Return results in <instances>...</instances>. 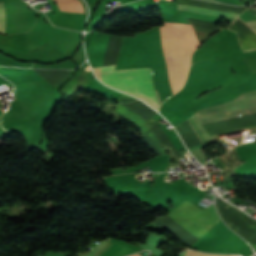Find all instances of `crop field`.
I'll list each match as a JSON object with an SVG mask.
<instances>
[{
	"label": "crop field",
	"instance_id": "obj_9",
	"mask_svg": "<svg viewBox=\"0 0 256 256\" xmlns=\"http://www.w3.org/2000/svg\"><path fill=\"white\" fill-rule=\"evenodd\" d=\"M106 243L107 241L103 240L87 256H94Z\"/></svg>",
	"mask_w": 256,
	"mask_h": 256
},
{
	"label": "crop field",
	"instance_id": "obj_11",
	"mask_svg": "<svg viewBox=\"0 0 256 256\" xmlns=\"http://www.w3.org/2000/svg\"><path fill=\"white\" fill-rule=\"evenodd\" d=\"M241 201H242V200L235 198V201H234V202H240V203H241Z\"/></svg>",
	"mask_w": 256,
	"mask_h": 256
},
{
	"label": "crop field",
	"instance_id": "obj_2",
	"mask_svg": "<svg viewBox=\"0 0 256 256\" xmlns=\"http://www.w3.org/2000/svg\"><path fill=\"white\" fill-rule=\"evenodd\" d=\"M116 65L93 68L99 80L108 86L132 94L158 110L150 68L114 71Z\"/></svg>",
	"mask_w": 256,
	"mask_h": 256
},
{
	"label": "crop field",
	"instance_id": "obj_3",
	"mask_svg": "<svg viewBox=\"0 0 256 256\" xmlns=\"http://www.w3.org/2000/svg\"><path fill=\"white\" fill-rule=\"evenodd\" d=\"M167 216L200 238L221 220L213 204L203 210L186 200Z\"/></svg>",
	"mask_w": 256,
	"mask_h": 256
},
{
	"label": "crop field",
	"instance_id": "obj_1",
	"mask_svg": "<svg viewBox=\"0 0 256 256\" xmlns=\"http://www.w3.org/2000/svg\"><path fill=\"white\" fill-rule=\"evenodd\" d=\"M160 32L169 82L175 93L184 82L192 52L200 44L190 24L164 22Z\"/></svg>",
	"mask_w": 256,
	"mask_h": 256
},
{
	"label": "crop field",
	"instance_id": "obj_10",
	"mask_svg": "<svg viewBox=\"0 0 256 256\" xmlns=\"http://www.w3.org/2000/svg\"><path fill=\"white\" fill-rule=\"evenodd\" d=\"M248 25H250L255 31H256V21L252 22H246Z\"/></svg>",
	"mask_w": 256,
	"mask_h": 256
},
{
	"label": "crop field",
	"instance_id": "obj_13",
	"mask_svg": "<svg viewBox=\"0 0 256 256\" xmlns=\"http://www.w3.org/2000/svg\"><path fill=\"white\" fill-rule=\"evenodd\" d=\"M201 139V138H200ZM203 142V141H202ZM204 144V143H203Z\"/></svg>",
	"mask_w": 256,
	"mask_h": 256
},
{
	"label": "crop field",
	"instance_id": "obj_5",
	"mask_svg": "<svg viewBox=\"0 0 256 256\" xmlns=\"http://www.w3.org/2000/svg\"><path fill=\"white\" fill-rule=\"evenodd\" d=\"M178 9L186 10V11H192V12H198V13H204V14H210V15H216V16L233 17V18H236V16L238 15L237 13H230V12H224V11L196 8V7L183 6V5H178Z\"/></svg>",
	"mask_w": 256,
	"mask_h": 256
},
{
	"label": "crop field",
	"instance_id": "obj_8",
	"mask_svg": "<svg viewBox=\"0 0 256 256\" xmlns=\"http://www.w3.org/2000/svg\"><path fill=\"white\" fill-rule=\"evenodd\" d=\"M184 256H228V255L204 254L201 252H195V251L188 250V252Z\"/></svg>",
	"mask_w": 256,
	"mask_h": 256
},
{
	"label": "crop field",
	"instance_id": "obj_7",
	"mask_svg": "<svg viewBox=\"0 0 256 256\" xmlns=\"http://www.w3.org/2000/svg\"><path fill=\"white\" fill-rule=\"evenodd\" d=\"M4 26H5V15L4 9L2 5V1L0 3V32L4 33Z\"/></svg>",
	"mask_w": 256,
	"mask_h": 256
},
{
	"label": "crop field",
	"instance_id": "obj_12",
	"mask_svg": "<svg viewBox=\"0 0 256 256\" xmlns=\"http://www.w3.org/2000/svg\"><path fill=\"white\" fill-rule=\"evenodd\" d=\"M133 256H140V255L136 254V255H133Z\"/></svg>",
	"mask_w": 256,
	"mask_h": 256
},
{
	"label": "crop field",
	"instance_id": "obj_4",
	"mask_svg": "<svg viewBox=\"0 0 256 256\" xmlns=\"http://www.w3.org/2000/svg\"><path fill=\"white\" fill-rule=\"evenodd\" d=\"M256 106V96L249 97V98H244L236 101H231L227 104L223 105H218L206 109H202L198 111L196 116L199 118V120L230 113V112H235L251 107Z\"/></svg>",
	"mask_w": 256,
	"mask_h": 256
},
{
	"label": "crop field",
	"instance_id": "obj_14",
	"mask_svg": "<svg viewBox=\"0 0 256 256\" xmlns=\"http://www.w3.org/2000/svg\"><path fill=\"white\" fill-rule=\"evenodd\" d=\"M247 204V203H246Z\"/></svg>",
	"mask_w": 256,
	"mask_h": 256
},
{
	"label": "crop field",
	"instance_id": "obj_6",
	"mask_svg": "<svg viewBox=\"0 0 256 256\" xmlns=\"http://www.w3.org/2000/svg\"><path fill=\"white\" fill-rule=\"evenodd\" d=\"M60 10L81 12L84 13V9L79 0H54Z\"/></svg>",
	"mask_w": 256,
	"mask_h": 256
}]
</instances>
